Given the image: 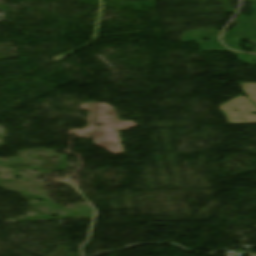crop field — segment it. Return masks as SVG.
<instances>
[{
  "instance_id": "obj_1",
  "label": "crop field",
  "mask_w": 256,
  "mask_h": 256,
  "mask_svg": "<svg viewBox=\"0 0 256 256\" xmlns=\"http://www.w3.org/2000/svg\"><path fill=\"white\" fill-rule=\"evenodd\" d=\"M220 108L227 116L230 125L256 123V115L250 114L252 111H256V107L246 97L240 96L221 105Z\"/></svg>"
},
{
  "instance_id": "obj_2",
  "label": "crop field",
  "mask_w": 256,
  "mask_h": 256,
  "mask_svg": "<svg viewBox=\"0 0 256 256\" xmlns=\"http://www.w3.org/2000/svg\"><path fill=\"white\" fill-rule=\"evenodd\" d=\"M245 93L256 103V83H239Z\"/></svg>"
}]
</instances>
